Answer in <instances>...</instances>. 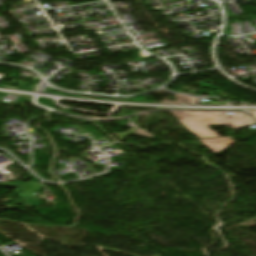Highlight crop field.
Segmentation results:
<instances>
[{
	"label": "crop field",
	"instance_id": "obj_4",
	"mask_svg": "<svg viewBox=\"0 0 256 256\" xmlns=\"http://www.w3.org/2000/svg\"><path fill=\"white\" fill-rule=\"evenodd\" d=\"M250 112L256 118V111H250Z\"/></svg>",
	"mask_w": 256,
	"mask_h": 256
},
{
	"label": "crop field",
	"instance_id": "obj_2",
	"mask_svg": "<svg viewBox=\"0 0 256 256\" xmlns=\"http://www.w3.org/2000/svg\"><path fill=\"white\" fill-rule=\"evenodd\" d=\"M200 141L214 153H218L234 143V140L230 138L206 139Z\"/></svg>",
	"mask_w": 256,
	"mask_h": 256
},
{
	"label": "crop field",
	"instance_id": "obj_1",
	"mask_svg": "<svg viewBox=\"0 0 256 256\" xmlns=\"http://www.w3.org/2000/svg\"><path fill=\"white\" fill-rule=\"evenodd\" d=\"M174 116L181 115L178 119L188 131L197 135L198 138L218 137V133L212 131L207 126L219 124L229 126L235 130L245 126L255 124L246 112L231 111L233 114L228 116L226 112L215 113L210 110H168Z\"/></svg>",
	"mask_w": 256,
	"mask_h": 256
},
{
	"label": "crop field",
	"instance_id": "obj_3",
	"mask_svg": "<svg viewBox=\"0 0 256 256\" xmlns=\"http://www.w3.org/2000/svg\"><path fill=\"white\" fill-rule=\"evenodd\" d=\"M170 94L176 96V98L178 100V103H175V102H172V101H169V100H166L162 103L183 104L182 100H187L186 104H200V98L191 97V96H184V95H177V94H173V93H170Z\"/></svg>",
	"mask_w": 256,
	"mask_h": 256
}]
</instances>
